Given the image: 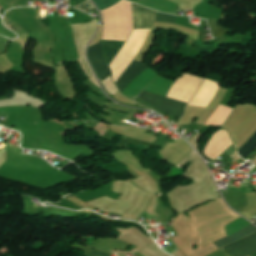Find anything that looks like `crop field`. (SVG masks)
Wrapping results in <instances>:
<instances>
[{
    "label": "crop field",
    "mask_w": 256,
    "mask_h": 256,
    "mask_svg": "<svg viewBox=\"0 0 256 256\" xmlns=\"http://www.w3.org/2000/svg\"><path fill=\"white\" fill-rule=\"evenodd\" d=\"M101 13L104 20L102 39L126 41L133 29L131 3L120 0L114 6L102 10Z\"/></svg>",
    "instance_id": "obj_1"
},
{
    "label": "crop field",
    "mask_w": 256,
    "mask_h": 256,
    "mask_svg": "<svg viewBox=\"0 0 256 256\" xmlns=\"http://www.w3.org/2000/svg\"><path fill=\"white\" fill-rule=\"evenodd\" d=\"M134 28H151L157 16V12L132 3ZM178 16L158 12L155 21H163L176 24Z\"/></svg>",
    "instance_id": "obj_2"
},
{
    "label": "crop field",
    "mask_w": 256,
    "mask_h": 256,
    "mask_svg": "<svg viewBox=\"0 0 256 256\" xmlns=\"http://www.w3.org/2000/svg\"><path fill=\"white\" fill-rule=\"evenodd\" d=\"M141 100L146 101L153 105L155 108L161 109L173 116L180 118L184 113L186 103L154 95L142 91L138 96Z\"/></svg>",
    "instance_id": "obj_3"
},
{
    "label": "crop field",
    "mask_w": 256,
    "mask_h": 256,
    "mask_svg": "<svg viewBox=\"0 0 256 256\" xmlns=\"http://www.w3.org/2000/svg\"><path fill=\"white\" fill-rule=\"evenodd\" d=\"M224 249L233 256H248L256 251V232L224 247Z\"/></svg>",
    "instance_id": "obj_4"
},
{
    "label": "crop field",
    "mask_w": 256,
    "mask_h": 256,
    "mask_svg": "<svg viewBox=\"0 0 256 256\" xmlns=\"http://www.w3.org/2000/svg\"><path fill=\"white\" fill-rule=\"evenodd\" d=\"M89 57L101 79L111 74L103 58L101 43H97L89 48Z\"/></svg>",
    "instance_id": "obj_5"
},
{
    "label": "crop field",
    "mask_w": 256,
    "mask_h": 256,
    "mask_svg": "<svg viewBox=\"0 0 256 256\" xmlns=\"http://www.w3.org/2000/svg\"><path fill=\"white\" fill-rule=\"evenodd\" d=\"M148 66L133 61L129 68L122 74V76L117 81V87L119 91L127 86L137 75H139L144 69H146ZM123 91V90H122Z\"/></svg>",
    "instance_id": "obj_6"
},
{
    "label": "crop field",
    "mask_w": 256,
    "mask_h": 256,
    "mask_svg": "<svg viewBox=\"0 0 256 256\" xmlns=\"http://www.w3.org/2000/svg\"><path fill=\"white\" fill-rule=\"evenodd\" d=\"M255 230H256V227L251 224V225H249L248 227H246V228L240 230L239 232H237V233H235V234H233V235H231V236H229V237H227V238H224V239H221V240H219V241H217V242H214V244H215L218 248H220V247H222V246H225V245H227V244H230V243H232V242H234V241H237V240H239V239H241V238H243V237H245V236H247V235L253 233Z\"/></svg>",
    "instance_id": "obj_7"
},
{
    "label": "crop field",
    "mask_w": 256,
    "mask_h": 256,
    "mask_svg": "<svg viewBox=\"0 0 256 256\" xmlns=\"http://www.w3.org/2000/svg\"><path fill=\"white\" fill-rule=\"evenodd\" d=\"M124 44L122 41H102L103 52L108 65L111 63L112 59Z\"/></svg>",
    "instance_id": "obj_8"
},
{
    "label": "crop field",
    "mask_w": 256,
    "mask_h": 256,
    "mask_svg": "<svg viewBox=\"0 0 256 256\" xmlns=\"http://www.w3.org/2000/svg\"><path fill=\"white\" fill-rule=\"evenodd\" d=\"M256 148V133L238 151L244 159Z\"/></svg>",
    "instance_id": "obj_9"
},
{
    "label": "crop field",
    "mask_w": 256,
    "mask_h": 256,
    "mask_svg": "<svg viewBox=\"0 0 256 256\" xmlns=\"http://www.w3.org/2000/svg\"><path fill=\"white\" fill-rule=\"evenodd\" d=\"M118 1L119 0H99L95 3L99 6L100 10H102L109 6H112L113 4L117 3Z\"/></svg>",
    "instance_id": "obj_10"
},
{
    "label": "crop field",
    "mask_w": 256,
    "mask_h": 256,
    "mask_svg": "<svg viewBox=\"0 0 256 256\" xmlns=\"http://www.w3.org/2000/svg\"><path fill=\"white\" fill-rule=\"evenodd\" d=\"M86 256H110V254H106L98 250L93 251L90 249Z\"/></svg>",
    "instance_id": "obj_11"
},
{
    "label": "crop field",
    "mask_w": 256,
    "mask_h": 256,
    "mask_svg": "<svg viewBox=\"0 0 256 256\" xmlns=\"http://www.w3.org/2000/svg\"><path fill=\"white\" fill-rule=\"evenodd\" d=\"M250 256H256V253H254V254H252V255H250Z\"/></svg>",
    "instance_id": "obj_12"
},
{
    "label": "crop field",
    "mask_w": 256,
    "mask_h": 256,
    "mask_svg": "<svg viewBox=\"0 0 256 256\" xmlns=\"http://www.w3.org/2000/svg\"><path fill=\"white\" fill-rule=\"evenodd\" d=\"M254 224H256V222Z\"/></svg>",
    "instance_id": "obj_13"
}]
</instances>
